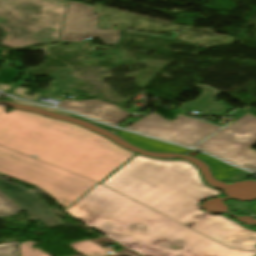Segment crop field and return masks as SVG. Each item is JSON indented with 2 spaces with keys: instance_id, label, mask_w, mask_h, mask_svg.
<instances>
[{
  "instance_id": "obj_13",
  "label": "crop field",
  "mask_w": 256,
  "mask_h": 256,
  "mask_svg": "<svg viewBox=\"0 0 256 256\" xmlns=\"http://www.w3.org/2000/svg\"><path fill=\"white\" fill-rule=\"evenodd\" d=\"M82 256H109V254L89 239L69 244Z\"/></svg>"
},
{
  "instance_id": "obj_5",
  "label": "crop field",
  "mask_w": 256,
  "mask_h": 256,
  "mask_svg": "<svg viewBox=\"0 0 256 256\" xmlns=\"http://www.w3.org/2000/svg\"><path fill=\"white\" fill-rule=\"evenodd\" d=\"M256 118L249 113L220 132L195 146L221 159L256 171Z\"/></svg>"
},
{
  "instance_id": "obj_16",
  "label": "crop field",
  "mask_w": 256,
  "mask_h": 256,
  "mask_svg": "<svg viewBox=\"0 0 256 256\" xmlns=\"http://www.w3.org/2000/svg\"><path fill=\"white\" fill-rule=\"evenodd\" d=\"M25 91H30V89L15 87L14 90L8 94H11V95H14V96H17V97H20V98H23V99H26L29 101H33V102H36V100L42 95L40 93H36L33 96H29L24 93ZM15 93H17L18 95H15Z\"/></svg>"
},
{
  "instance_id": "obj_2",
  "label": "crop field",
  "mask_w": 256,
  "mask_h": 256,
  "mask_svg": "<svg viewBox=\"0 0 256 256\" xmlns=\"http://www.w3.org/2000/svg\"><path fill=\"white\" fill-rule=\"evenodd\" d=\"M102 184L183 225L194 222L197 225L191 228L228 247L256 251V232L243 229L223 215L202 216L204 212L195 209L199 201L220 193L206 186L198 170L187 161L137 155Z\"/></svg>"
},
{
  "instance_id": "obj_15",
  "label": "crop field",
  "mask_w": 256,
  "mask_h": 256,
  "mask_svg": "<svg viewBox=\"0 0 256 256\" xmlns=\"http://www.w3.org/2000/svg\"><path fill=\"white\" fill-rule=\"evenodd\" d=\"M32 245H34L32 241L20 243V256H49L38 249H33Z\"/></svg>"
},
{
  "instance_id": "obj_3",
  "label": "crop field",
  "mask_w": 256,
  "mask_h": 256,
  "mask_svg": "<svg viewBox=\"0 0 256 256\" xmlns=\"http://www.w3.org/2000/svg\"><path fill=\"white\" fill-rule=\"evenodd\" d=\"M65 212L142 256L256 255L228 249L100 184ZM171 244L183 249H166Z\"/></svg>"
},
{
  "instance_id": "obj_11",
  "label": "crop field",
  "mask_w": 256,
  "mask_h": 256,
  "mask_svg": "<svg viewBox=\"0 0 256 256\" xmlns=\"http://www.w3.org/2000/svg\"><path fill=\"white\" fill-rule=\"evenodd\" d=\"M197 86L204 89V92L195 102H189V103L187 102L188 104L185 103L186 105L179 107L180 109H184V110L191 109V110L202 112L205 109L212 106L213 104L217 103L213 99L219 93H217L215 90L209 87H206L200 84H198Z\"/></svg>"
},
{
  "instance_id": "obj_17",
  "label": "crop field",
  "mask_w": 256,
  "mask_h": 256,
  "mask_svg": "<svg viewBox=\"0 0 256 256\" xmlns=\"http://www.w3.org/2000/svg\"><path fill=\"white\" fill-rule=\"evenodd\" d=\"M0 256H18L17 243L0 245Z\"/></svg>"
},
{
  "instance_id": "obj_18",
  "label": "crop field",
  "mask_w": 256,
  "mask_h": 256,
  "mask_svg": "<svg viewBox=\"0 0 256 256\" xmlns=\"http://www.w3.org/2000/svg\"><path fill=\"white\" fill-rule=\"evenodd\" d=\"M9 99L12 100V101H14L15 103H18V104L29 105V106H33V107H38V108H42V109H45V110H48V111H52V112H55V113L67 115V116H71V115H72V114L64 113V112H62V111L55 110V109H50V108H46V107H42V106H35V105H32V104L19 102V101L13 99V98H9Z\"/></svg>"
},
{
  "instance_id": "obj_10",
  "label": "crop field",
  "mask_w": 256,
  "mask_h": 256,
  "mask_svg": "<svg viewBox=\"0 0 256 256\" xmlns=\"http://www.w3.org/2000/svg\"><path fill=\"white\" fill-rule=\"evenodd\" d=\"M118 136L122 137L128 143L135 145L141 149L148 150L151 152H179L184 153L188 149H184L181 147H177L174 145H170L167 143H163L160 141L152 140L149 138H145L142 136L126 133V132H118L116 133Z\"/></svg>"
},
{
  "instance_id": "obj_4",
  "label": "crop field",
  "mask_w": 256,
  "mask_h": 256,
  "mask_svg": "<svg viewBox=\"0 0 256 256\" xmlns=\"http://www.w3.org/2000/svg\"><path fill=\"white\" fill-rule=\"evenodd\" d=\"M67 4L58 0H0L1 44L23 49L57 42Z\"/></svg>"
},
{
  "instance_id": "obj_14",
  "label": "crop field",
  "mask_w": 256,
  "mask_h": 256,
  "mask_svg": "<svg viewBox=\"0 0 256 256\" xmlns=\"http://www.w3.org/2000/svg\"><path fill=\"white\" fill-rule=\"evenodd\" d=\"M22 208L0 192V217L16 215Z\"/></svg>"
},
{
  "instance_id": "obj_20",
  "label": "crop field",
  "mask_w": 256,
  "mask_h": 256,
  "mask_svg": "<svg viewBox=\"0 0 256 256\" xmlns=\"http://www.w3.org/2000/svg\"><path fill=\"white\" fill-rule=\"evenodd\" d=\"M13 86H10V85H2L0 84V90L2 91H7L9 89H11Z\"/></svg>"
},
{
  "instance_id": "obj_6",
  "label": "crop field",
  "mask_w": 256,
  "mask_h": 256,
  "mask_svg": "<svg viewBox=\"0 0 256 256\" xmlns=\"http://www.w3.org/2000/svg\"><path fill=\"white\" fill-rule=\"evenodd\" d=\"M126 129L191 147L221 128L183 115L167 122L157 113H153Z\"/></svg>"
},
{
  "instance_id": "obj_9",
  "label": "crop field",
  "mask_w": 256,
  "mask_h": 256,
  "mask_svg": "<svg viewBox=\"0 0 256 256\" xmlns=\"http://www.w3.org/2000/svg\"><path fill=\"white\" fill-rule=\"evenodd\" d=\"M57 107L65 108L111 125H116L124 118L131 115L117 106L99 100L70 101L65 99Z\"/></svg>"
},
{
  "instance_id": "obj_21",
  "label": "crop field",
  "mask_w": 256,
  "mask_h": 256,
  "mask_svg": "<svg viewBox=\"0 0 256 256\" xmlns=\"http://www.w3.org/2000/svg\"><path fill=\"white\" fill-rule=\"evenodd\" d=\"M251 212L256 215V204L250 207Z\"/></svg>"
},
{
  "instance_id": "obj_12",
  "label": "crop field",
  "mask_w": 256,
  "mask_h": 256,
  "mask_svg": "<svg viewBox=\"0 0 256 256\" xmlns=\"http://www.w3.org/2000/svg\"><path fill=\"white\" fill-rule=\"evenodd\" d=\"M203 161H205L208 165H210L213 169V175L215 179L224 181L230 178L232 175L240 171L239 169H234L210 156L200 154L196 156Z\"/></svg>"
},
{
  "instance_id": "obj_22",
  "label": "crop field",
  "mask_w": 256,
  "mask_h": 256,
  "mask_svg": "<svg viewBox=\"0 0 256 256\" xmlns=\"http://www.w3.org/2000/svg\"><path fill=\"white\" fill-rule=\"evenodd\" d=\"M193 225H195V224H194V223H189V224H187L186 226L191 227V226H193Z\"/></svg>"
},
{
  "instance_id": "obj_7",
  "label": "crop field",
  "mask_w": 256,
  "mask_h": 256,
  "mask_svg": "<svg viewBox=\"0 0 256 256\" xmlns=\"http://www.w3.org/2000/svg\"><path fill=\"white\" fill-rule=\"evenodd\" d=\"M92 11V6L69 2L59 41L82 42L83 37H96L104 44H118L120 30H96L98 17Z\"/></svg>"
},
{
  "instance_id": "obj_8",
  "label": "crop field",
  "mask_w": 256,
  "mask_h": 256,
  "mask_svg": "<svg viewBox=\"0 0 256 256\" xmlns=\"http://www.w3.org/2000/svg\"><path fill=\"white\" fill-rule=\"evenodd\" d=\"M0 190L15 200L23 207L29 215L31 221L40 220L48 228L66 225L64 221L56 216L53 209L41 198L28 189L18 187L0 178Z\"/></svg>"
},
{
  "instance_id": "obj_1",
  "label": "crop field",
  "mask_w": 256,
  "mask_h": 256,
  "mask_svg": "<svg viewBox=\"0 0 256 256\" xmlns=\"http://www.w3.org/2000/svg\"><path fill=\"white\" fill-rule=\"evenodd\" d=\"M4 109L0 173L42 189L63 208L135 154L80 126Z\"/></svg>"
},
{
  "instance_id": "obj_19",
  "label": "crop field",
  "mask_w": 256,
  "mask_h": 256,
  "mask_svg": "<svg viewBox=\"0 0 256 256\" xmlns=\"http://www.w3.org/2000/svg\"><path fill=\"white\" fill-rule=\"evenodd\" d=\"M72 117H75V118H78V119L85 120V119H83V118H81V117H79V116H76V115H73ZM85 121H87V122H89V123H91V124H93V125H95V126H97V127H100V128L106 129V130L111 129V128H109V127H106V126H103V125H100V124H97V123H93V122L88 121V120H85Z\"/></svg>"
}]
</instances>
